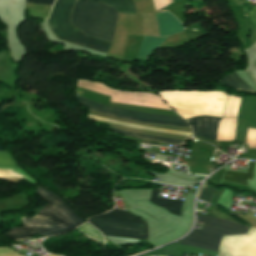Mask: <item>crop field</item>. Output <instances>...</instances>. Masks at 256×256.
<instances>
[{
  "instance_id": "9",
  "label": "crop field",
  "mask_w": 256,
  "mask_h": 256,
  "mask_svg": "<svg viewBox=\"0 0 256 256\" xmlns=\"http://www.w3.org/2000/svg\"><path fill=\"white\" fill-rule=\"evenodd\" d=\"M194 135L216 140L217 125L220 118L201 116L190 119Z\"/></svg>"
},
{
  "instance_id": "25",
  "label": "crop field",
  "mask_w": 256,
  "mask_h": 256,
  "mask_svg": "<svg viewBox=\"0 0 256 256\" xmlns=\"http://www.w3.org/2000/svg\"><path fill=\"white\" fill-rule=\"evenodd\" d=\"M55 0H26L29 3L51 5Z\"/></svg>"
},
{
  "instance_id": "22",
  "label": "crop field",
  "mask_w": 256,
  "mask_h": 256,
  "mask_svg": "<svg viewBox=\"0 0 256 256\" xmlns=\"http://www.w3.org/2000/svg\"><path fill=\"white\" fill-rule=\"evenodd\" d=\"M215 191L216 188L212 187L208 184V182H206L200 190L198 199L204 200L209 203Z\"/></svg>"
},
{
  "instance_id": "6",
  "label": "crop field",
  "mask_w": 256,
  "mask_h": 256,
  "mask_svg": "<svg viewBox=\"0 0 256 256\" xmlns=\"http://www.w3.org/2000/svg\"><path fill=\"white\" fill-rule=\"evenodd\" d=\"M88 221L103 235L148 239L146 223L122 210L114 209L101 216L92 217Z\"/></svg>"
},
{
  "instance_id": "18",
  "label": "crop field",
  "mask_w": 256,
  "mask_h": 256,
  "mask_svg": "<svg viewBox=\"0 0 256 256\" xmlns=\"http://www.w3.org/2000/svg\"><path fill=\"white\" fill-rule=\"evenodd\" d=\"M118 134L121 135H126V136H131V137H137V138H142V139H147V140H152V141H157V142H162V143H171V144H176L182 146L184 142L178 141V140H172V139H165V138H157V137H150V136H142V135H136L128 132H124L118 129L106 127Z\"/></svg>"
},
{
  "instance_id": "11",
  "label": "crop field",
  "mask_w": 256,
  "mask_h": 256,
  "mask_svg": "<svg viewBox=\"0 0 256 256\" xmlns=\"http://www.w3.org/2000/svg\"><path fill=\"white\" fill-rule=\"evenodd\" d=\"M160 189H153L150 202L166 208L169 212L181 215L182 201L158 198Z\"/></svg>"
},
{
  "instance_id": "15",
  "label": "crop field",
  "mask_w": 256,
  "mask_h": 256,
  "mask_svg": "<svg viewBox=\"0 0 256 256\" xmlns=\"http://www.w3.org/2000/svg\"><path fill=\"white\" fill-rule=\"evenodd\" d=\"M219 82L237 90V91H248V92H254L252 88L247 85L245 82H243L236 74L235 72L224 76L222 79L219 80Z\"/></svg>"
},
{
  "instance_id": "7",
  "label": "crop field",
  "mask_w": 256,
  "mask_h": 256,
  "mask_svg": "<svg viewBox=\"0 0 256 256\" xmlns=\"http://www.w3.org/2000/svg\"><path fill=\"white\" fill-rule=\"evenodd\" d=\"M77 87L95 91L107 96L110 95L111 102L114 103L172 110L154 94L114 91L101 83L88 80H77Z\"/></svg>"
},
{
  "instance_id": "21",
  "label": "crop field",
  "mask_w": 256,
  "mask_h": 256,
  "mask_svg": "<svg viewBox=\"0 0 256 256\" xmlns=\"http://www.w3.org/2000/svg\"><path fill=\"white\" fill-rule=\"evenodd\" d=\"M0 168L21 169L8 152H0Z\"/></svg>"
},
{
  "instance_id": "8",
  "label": "crop field",
  "mask_w": 256,
  "mask_h": 256,
  "mask_svg": "<svg viewBox=\"0 0 256 256\" xmlns=\"http://www.w3.org/2000/svg\"><path fill=\"white\" fill-rule=\"evenodd\" d=\"M76 98L80 101H83L85 103L91 104L95 107H98L102 110H106L113 113L123 114L131 117H137V118H145V119H155V120H166V121H175V122H184L187 123L185 120L177 117H170V116H163V115H155V114H148V113H141V112H135V111H129L124 110L120 108H114L109 107L105 105L98 104L96 102L90 101L88 99L82 98L80 96H76Z\"/></svg>"
},
{
  "instance_id": "19",
  "label": "crop field",
  "mask_w": 256,
  "mask_h": 256,
  "mask_svg": "<svg viewBox=\"0 0 256 256\" xmlns=\"http://www.w3.org/2000/svg\"><path fill=\"white\" fill-rule=\"evenodd\" d=\"M78 103L90 108V109H93V110H96V111H99V112H102V113H105V114H109V115H113V116H117V117H120V118H124V119H128V120H135V121H143V122H147V123H156V124H166V125H174V126H185V127H191L189 124H182V123H168V122H159V121H153V120H144V119H136V118H130V117H126V116H122V115H118V114H113V113H109V112H105V111H102L98 108H95L91 105H88V104H85L83 102H80V101H77Z\"/></svg>"
},
{
  "instance_id": "26",
  "label": "crop field",
  "mask_w": 256,
  "mask_h": 256,
  "mask_svg": "<svg viewBox=\"0 0 256 256\" xmlns=\"http://www.w3.org/2000/svg\"><path fill=\"white\" fill-rule=\"evenodd\" d=\"M249 16L251 18V20L253 21V23L256 26V7H254L251 12L249 13Z\"/></svg>"
},
{
  "instance_id": "14",
  "label": "crop field",
  "mask_w": 256,
  "mask_h": 256,
  "mask_svg": "<svg viewBox=\"0 0 256 256\" xmlns=\"http://www.w3.org/2000/svg\"><path fill=\"white\" fill-rule=\"evenodd\" d=\"M167 37L154 38L144 37L142 45L140 47L138 58L149 59L153 52L161 45Z\"/></svg>"
},
{
  "instance_id": "27",
  "label": "crop field",
  "mask_w": 256,
  "mask_h": 256,
  "mask_svg": "<svg viewBox=\"0 0 256 256\" xmlns=\"http://www.w3.org/2000/svg\"><path fill=\"white\" fill-rule=\"evenodd\" d=\"M0 150L1 151H6L1 145H0Z\"/></svg>"
},
{
  "instance_id": "3",
  "label": "crop field",
  "mask_w": 256,
  "mask_h": 256,
  "mask_svg": "<svg viewBox=\"0 0 256 256\" xmlns=\"http://www.w3.org/2000/svg\"><path fill=\"white\" fill-rule=\"evenodd\" d=\"M71 21L87 35L112 41L117 11L99 2L77 1Z\"/></svg>"
},
{
  "instance_id": "20",
  "label": "crop field",
  "mask_w": 256,
  "mask_h": 256,
  "mask_svg": "<svg viewBox=\"0 0 256 256\" xmlns=\"http://www.w3.org/2000/svg\"><path fill=\"white\" fill-rule=\"evenodd\" d=\"M241 97L230 95L224 117H237Z\"/></svg>"
},
{
  "instance_id": "24",
  "label": "crop field",
  "mask_w": 256,
  "mask_h": 256,
  "mask_svg": "<svg viewBox=\"0 0 256 256\" xmlns=\"http://www.w3.org/2000/svg\"><path fill=\"white\" fill-rule=\"evenodd\" d=\"M0 256H19L15 252L11 251L8 248H1L0 249ZM49 256H56V255H49Z\"/></svg>"
},
{
  "instance_id": "17",
  "label": "crop field",
  "mask_w": 256,
  "mask_h": 256,
  "mask_svg": "<svg viewBox=\"0 0 256 256\" xmlns=\"http://www.w3.org/2000/svg\"><path fill=\"white\" fill-rule=\"evenodd\" d=\"M115 7L118 12L135 14L132 0H97Z\"/></svg>"
},
{
  "instance_id": "28",
  "label": "crop field",
  "mask_w": 256,
  "mask_h": 256,
  "mask_svg": "<svg viewBox=\"0 0 256 256\" xmlns=\"http://www.w3.org/2000/svg\"><path fill=\"white\" fill-rule=\"evenodd\" d=\"M2 102H0V104H1Z\"/></svg>"
},
{
  "instance_id": "1",
  "label": "crop field",
  "mask_w": 256,
  "mask_h": 256,
  "mask_svg": "<svg viewBox=\"0 0 256 256\" xmlns=\"http://www.w3.org/2000/svg\"><path fill=\"white\" fill-rule=\"evenodd\" d=\"M42 199L50 202L36 217L21 218L25 227L9 228L6 235L13 239L30 238L32 233L46 237L65 233L84 223L56 194L37 187Z\"/></svg>"
},
{
  "instance_id": "13",
  "label": "crop field",
  "mask_w": 256,
  "mask_h": 256,
  "mask_svg": "<svg viewBox=\"0 0 256 256\" xmlns=\"http://www.w3.org/2000/svg\"><path fill=\"white\" fill-rule=\"evenodd\" d=\"M236 120L235 118L221 119L218 126L217 140H234Z\"/></svg>"
},
{
  "instance_id": "5",
  "label": "crop field",
  "mask_w": 256,
  "mask_h": 256,
  "mask_svg": "<svg viewBox=\"0 0 256 256\" xmlns=\"http://www.w3.org/2000/svg\"><path fill=\"white\" fill-rule=\"evenodd\" d=\"M197 221L203 222L202 230L194 229L178 243L217 251L222 236L240 235L249 230L246 225L209 216H197Z\"/></svg>"
},
{
  "instance_id": "16",
  "label": "crop field",
  "mask_w": 256,
  "mask_h": 256,
  "mask_svg": "<svg viewBox=\"0 0 256 256\" xmlns=\"http://www.w3.org/2000/svg\"><path fill=\"white\" fill-rule=\"evenodd\" d=\"M253 169H254V163L249 162L248 173L226 171L223 180L247 185V180H252L253 178Z\"/></svg>"
},
{
  "instance_id": "2",
  "label": "crop field",
  "mask_w": 256,
  "mask_h": 256,
  "mask_svg": "<svg viewBox=\"0 0 256 256\" xmlns=\"http://www.w3.org/2000/svg\"><path fill=\"white\" fill-rule=\"evenodd\" d=\"M162 99L184 119L198 115L223 117L228 94L200 91H160Z\"/></svg>"
},
{
  "instance_id": "23",
  "label": "crop field",
  "mask_w": 256,
  "mask_h": 256,
  "mask_svg": "<svg viewBox=\"0 0 256 256\" xmlns=\"http://www.w3.org/2000/svg\"><path fill=\"white\" fill-rule=\"evenodd\" d=\"M246 143H249V146L256 147V129L249 128Z\"/></svg>"
},
{
  "instance_id": "4",
  "label": "crop field",
  "mask_w": 256,
  "mask_h": 256,
  "mask_svg": "<svg viewBox=\"0 0 256 256\" xmlns=\"http://www.w3.org/2000/svg\"><path fill=\"white\" fill-rule=\"evenodd\" d=\"M74 2L75 0H57L48 18L50 28L60 39L106 53L110 42L89 37L70 23L69 17Z\"/></svg>"
},
{
  "instance_id": "10",
  "label": "crop field",
  "mask_w": 256,
  "mask_h": 256,
  "mask_svg": "<svg viewBox=\"0 0 256 256\" xmlns=\"http://www.w3.org/2000/svg\"><path fill=\"white\" fill-rule=\"evenodd\" d=\"M155 15L161 36L175 34L184 30L183 25L172 14L163 12Z\"/></svg>"
},
{
  "instance_id": "12",
  "label": "crop field",
  "mask_w": 256,
  "mask_h": 256,
  "mask_svg": "<svg viewBox=\"0 0 256 256\" xmlns=\"http://www.w3.org/2000/svg\"><path fill=\"white\" fill-rule=\"evenodd\" d=\"M87 117H89L91 119H94V120L106 122V123H114V124H117V125L131 127V128L140 129V130L159 132V133H167V134H173V135H181V136H187V137L192 135V133H188V132L160 130L161 128L160 129H154V128H149V127L136 126V125H132V124H129V123L120 122V121L111 120V119H106V118L98 117V116L91 115V114L87 115Z\"/></svg>"
}]
</instances>
